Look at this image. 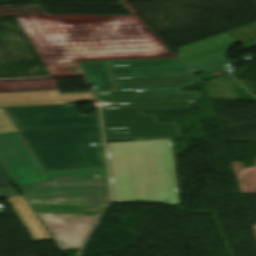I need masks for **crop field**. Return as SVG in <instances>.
Segmentation results:
<instances>
[{
    "label": "crop field",
    "mask_w": 256,
    "mask_h": 256,
    "mask_svg": "<svg viewBox=\"0 0 256 256\" xmlns=\"http://www.w3.org/2000/svg\"><path fill=\"white\" fill-rule=\"evenodd\" d=\"M106 144L113 202L178 203L171 139Z\"/></svg>",
    "instance_id": "412701ff"
},
{
    "label": "crop field",
    "mask_w": 256,
    "mask_h": 256,
    "mask_svg": "<svg viewBox=\"0 0 256 256\" xmlns=\"http://www.w3.org/2000/svg\"><path fill=\"white\" fill-rule=\"evenodd\" d=\"M4 110L45 170L106 167L98 110L90 116L74 105Z\"/></svg>",
    "instance_id": "34b2d1b8"
},
{
    "label": "crop field",
    "mask_w": 256,
    "mask_h": 256,
    "mask_svg": "<svg viewBox=\"0 0 256 256\" xmlns=\"http://www.w3.org/2000/svg\"><path fill=\"white\" fill-rule=\"evenodd\" d=\"M238 44L225 33L178 48L177 55L194 72L214 69L231 63L226 60L227 50Z\"/></svg>",
    "instance_id": "d8731c3e"
},
{
    "label": "crop field",
    "mask_w": 256,
    "mask_h": 256,
    "mask_svg": "<svg viewBox=\"0 0 256 256\" xmlns=\"http://www.w3.org/2000/svg\"><path fill=\"white\" fill-rule=\"evenodd\" d=\"M23 138L20 132L0 135V162L19 185L51 181Z\"/></svg>",
    "instance_id": "dd49c442"
},
{
    "label": "crop field",
    "mask_w": 256,
    "mask_h": 256,
    "mask_svg": "<svg viewBox=\"0 0 256 256\" xmlns=\"http://www.w3.org/2000/svg\"><path fill=\"white\" fill-rule=\"evenodd\" d=\"M18 195L14 187L0 189V198Z\"/></svg>",
    "instance_id": "cbeb9de0"
},
{
    "label": "crop field",
    "mask_w": 256,
    "mask_h": 256,
    "mask_svg": "<svg viewBox=\"0 0 256 256\" xmlns=\"http://www.w3.org/2000/svg\"><path fill=\"white\" fill-rule=\"evenodd\" d=\"M74 101H95L91 93L59 94L53 91L0 93V107L66 104Z\"/></svg>",
    "instance_id": "5a996713"
},
{
    "label": "crop field",
    "mask_w": 256,
    "mask_h": 256,
    "mask_svg": "<svg viewBox=\"0 0 256 256\" xmlns=\"http://www.w3.org/2000/svg\"><path fill=\"white\" fill-rule=\"evenodd\" d=\"M12 182V179L0 163V188L10 187Z\"/></svg>",
    "instance_id": "22f410ed"
},
{
    "label": "crop field",
    "mask_w": 256,
    "mask_h": 256,
    "mask_svg": "<svg viewBox=\"0 0 256 256\" xmlns=\"http://www.w3.org/2000/svg\"><path fill=\"white\" fill-rule=\"evenodd\" d=\"M19 218L27 228L34 242L52 240L46 229L43 227L32 208L26 202L24 197L16 196L7 198Z\"/></svg>",
    "instance_id": "3316defc"
},
{
    "label": "crop field",
    "mask_w": 256,
    "mask_h": 256,
    "mask_svg": "<svg viewBox=\"0 0 256 256\" xmlns=\"http://www.w3.org/2000/svg\"><path fill=\"white\" fill-rule=\"evenodd\" d=\"M47 172L54 181L18 186L34 212L96 215L103 213L109 201L106 168ZM94 175L102 177L83 178Z\"/></svg>",
    "instance_id": "f4fd0767"
},
{
    "label": "crop field",
    "mask_w": 256,
    "mask_h": 256,
    "mask_svg": "<svg viewBox=\"0 0 256 256\" xmlns=\"http://www.w3.org/2000/svg\"><path fill=\"white\" fill-rule=\"evenodd\" d=\"M36 215L60 250L81 248L90 230L100 217L96 215L45 213H36Z\"/></svg>",
    "instance_id": "e52e79f7"
},
{
    "label": "crop field",
    "mask_w": 256,
    "mask_h": 256,
    "mask_svg": "<svg viewBox=\"0 0 256 256\" xmlns=\"http://www.w3.org/2000/svg\"><path fill=\"white\" fill-rule=\"evenodd\" d=\"M115 91L95 93L102 108L106 140L179 136L177 124H157L142 109L186 108L199 100L198 91L180 92L201 80L180 58H149L108 61ZM142 89L145 92H136Z\"/></svg>",
    "instance_id": "8a807250"
},
{
    "label": "crop field",
    "mask_w": 256,
    "mask_h": 256,
    "mask_svg": "<svg viewBox=\"0 0 256 256\" xmlns=\"http://www.w3.org/2000/svg\"><path fill=\"white\" fill-rule=\"evenodd\" d=\"M19 20L54 76L81 75L75 60L173 56L138 19L75 24Z\"/></svg>",
    "instance_id": "ac0d7876"
},
{
    "label": "crop field",
    "mask_w": 256,
    "mask_h": 256,
    "mask_svg": "<svg viewBox=\"0 0 256 256\" xmlns=\"http://www.w3.org/2000/svg\"><path fill=\"white\" fill-rule=\"evenodd\" d=\"M16 131H18L17 128L9 119L3 108H0V134Z\"/></svg>",
    "instance_id": "d1516ede"
},
{
    "label": "crop field",
    "mask_w": 256,
    "mask_h": 256,
    "mask_svg": "<svg viewBox=\"0 0 256 256\" xmlns=\"http://www.w3.org/2000/svg\"><path fill=\"white\" fill-rule=\"evenodd\" d=\"M78 63L94 92L114 90L107 61Z\"/></svg>",
    "instance_id": "28ad6ade"
},
{
    "label": "crop field",
    "mask_w": 256,
    "mask_h": 256,
    "mask_svg": "<svg viewBox=\"0 0 256 256\" xmlns=\"http://www.w3.org/2000/svg\"><path fill=\"white\" fill-rule=\"evenodd\" d=\"M125 1H130V0H125Z\"/></svg>",
    "instance_id": "5142ce71"
}]
</instances>
